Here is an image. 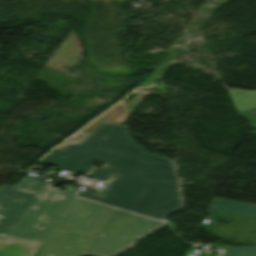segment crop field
<instances>
[{"mask_svg": "<svg viewBox=\"0 0 256 256\" xmlns=\"http://www.w3.org/2000/svg\"><path fill=\"white\" fill-rule=\"evenodd\" d=\"M129 112L126 111V109L123 107L122 103H118L114 108H112L107 113L103 114L101 117H99L97 120L93 121L88 127L80 130L77 134L81 135V139H78L76 141L73 140H67L63 145H61L59 148L63 149L69 142L74 143H80L84 137L88 134L93 132V130L100 124H111V125H122L123 121L127 117Z\"/></svg>", "mask_w": 256, "mask_h": 256, "instance_id": "crop-field-6", "label": "crop field"}, {"mask_svg": "<svg viewBox=\"0 0 256 256\" xmlns=\"http://www.w3.org/2000/svg\"><path fill=\"white\" fill-rule=\"evenodd\" d=\"M43 241L0 239V256H35Z\"/></svg>", "mask_w": 256, "mask_h": 256, "instance_id": "crop-field-7", "label": "crop field"}, {"mask_svg": "<svg viewBox=\"0 0 256 256\" xmlns=\"http://www.w3.org/2000/svg\"><path fill=\"white\" fill-rule=\"evenodd\" d=\"M39 194L6 185L0 188V237L5 235Z\"/></svg>", "mask_w": 256, "mask_h": 256, "instance_id": "crop-field-5", "label": "crop field"}, {"mask_svg": "<svg viewBox=\"0 0 256 256\" xmlns=\"http://www.w3.org/2000/svg\"><path fill=\"white\" fill-rule=\"evenodd\" d=\"M208 210L256 218V205L253 204L214 198Z\"/></svg>", "mask_w": 256, "mask_h": 256, "instance_id": "crop-field-8", "label": "crop field"}, {"mask_svg": "<svg viewBox=\"0 0 256 256\" xmlns=\"http://www.w3.org/2000/svg\"><path fill=\"white\" fill-rule=\"evenodd\" d=\"M127 129L101 124L80 144L55 149L40 163L87 173L99 181L117 175L100 196L80 191L77 196L164 220L181 208L176 161L145 152L128 136ZM96 161L105 163L103 169L92 167Z\"/></svg>", "mask_w": 256, "mask_h": 256, "instance_id": "crop-field-1", "label": "crop field"}, {"mask_svg": "<svg viewBox=\"0 0 256 256\" xmlns=\"http://www.w3.org/2000/svg\"><path fill=\"white\" fill-rule=\"evenodd\" d=\"M163 222L147 219L115 209L84 256H112L128 245L163 225Z\"/></svg>", "mask_w": 256, "mask_h": 256, "instance_id": "crop-field-3", "label": "crop field"}, {"mask_svg": "<svg viewBox=\"0 0 256 256\" xmlns=\"http://www.w3.org/2000/svg\"><path fill=\"white\" fill-rule=\"evenodd\" d=\"M31 176L15 186L42 192L4 237L45 240L52 227L96 234L113 208L78 199Z\"/></svg>", "mask_w": 256, "mask_h": 256, "instance_id": "crop-field-2", "label": "crop field"}, {"mask_svg": "<svg viewBox=\"0 0 256 256\" xmlns=\"http://www.w3.org/2000/svg\"><path fill=\"white\" fill-rule=\"evenodd\" d=\"M224 256H256V247H229Z\"/></svg>", "mask_w": 256, "mask_h": 256, "instance_id": "crop-field-9", "label": "crop field"}, {"mask_svg": "<svg viewBox=\"0 0 256 256\" xmlns=\"http://www.w3.org/2000/svg\"><path fill=\"white\" fill-rule=\"evenodd\" d=\"M239 115L248 121H250V126L256 129V108L250 109L244 112H240ZM256 133V132H253Z\"/></svg>", "mask_w": 256, "mask_h": 256, "instance_id": "crop-field-10", "label": "crop field"}, {"mask_svg": "<svg viewBox=\"0 0 256 256\" xmlns=\"http://www.w3.org/2000/svg\"><path fill=\"white\" fill-rule=\"evenodd\" d=\"M96 235L52 228L36 256H80Z\"/></svg>", "mask_w": 256, "mask_h": 256, "instance_id": "crop-field-4", "label": "crop field"}]
</instances>
